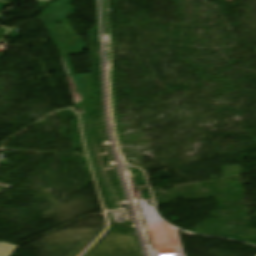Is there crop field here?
<instances>
[{
	"label": "crop field",
	"mask_w": 256,
	"mask_h": 256,
	"mask_svg": "<svg viewBox=\"0 0 256 256\" xmlns=\"http://www.w3.org/2000/svg\"><path fill=\"white\" fill-rule=\"evenodd\" d=\"M63 25L47 27L62 55L84 52L85 46L80 36H75L67 19L63 20ZM64 44L59 46V44Z\"/></svg>",
	"instance_id": "obj_1"
},
{
	"label": "crop field",
	"mask_w": 256,
	"mask_h": 256,
	"mask_svg": "<svg viewBox=\"0 0 256 256\" xmlns=\"http://www.w3.org/2000/svg\"><path fill=\"white\" fill-rule=\"evenodd\" d=\"M70 3L71 0H58L50 4L48 7L51 10L44 13L41 18H38V20H40L42 23L48 26L54 22H58L75 14L72 11L76 8L70 6Z\"/></svg>",
	"instance_id": "obj_2"
},
{
	"label": "crop field",
	"mask_w": 256,
	"mask_h": 256,
	"mask_svg": "<svg viewBox=\"0 0 256 256\" xmlns=\"http://www.w3.org/2000/svg\"><path fill=\"white\" fill-rule=\"evenodd\" d=\"M83 100L92 96L91 74L72 75Z\"/></svg>",
	"instance_id": "obj_3"
},
{
	"label": "crop field",
	"mask_w": 256,
	"mask_h": 256,
	"mask_svg": "<svg viewBox=\"0 0 256 256\" xmlns=\"http://www.w3.org/2000/svg\"><path fill=\"white\" fill-rule=\"evenodd\" d=\"M6 36H8V37L14 39V38H17V37H19V36H21V35H19V34H17V33H15V32H13V31L10 30L9 34L6 35Z\"/></svg>",
	"instance_id": "obj_4"
},
{
	"label": "crop field",
	"mask_w": 256,
	"mask_h": 256,
	"mask_svg": "<svg viewBox=\"0 0 256 256\" xmlns=\"http://www.w3.org/2000/svg\"><path fill=\"white\" fill-rule=\"evenodd\" d=\"M7 32V29H4L2 27H0V40L2 38V36Z\"/></svg>",
	"instance_id": "obj_5"
},
{
	"label": "crop field",
	"mask_w": 256,
	"mask_h": 256,
	"mask_svg": "<svg viewBox=\"0 0 256 256\" xmlns=\"http://www.w3.org/2000/svg\"><path fill=\"white\" fill-rule=\"evenodd\" d=\"M10 4H6V3H2L0 2V10L6 8L7 6H9Z\"/></svg>",
	"instance_id": "obj_6"
},
{
	"label": "crop field",
	"mask_w": 256,
	"mask_h": 256,
	"mask_svg": "<svg viewBox=\"0 0 256 256\" xmlns=\"http://www.w3.org/2000/svg\"><path fill=\"white\" fill-rule=\"evenodd\" d=\"M38 1H45V2H47V1H49V0H38Z\"/></svg>",
	"instance_id": "obj_7"
},
{
	"label": "crop field",
	"mask_w": 256,
	"mask_h": 256,
	"mask_svg": "<svg viewBox=\"0 0 256 256\" xmlns=\"http://www.w3.org/2000/svg\"><path fill=\"white\" fill-rule=\"evenodd\" d=\"M0 59H1V56H0Z\"/></svg>",
	"instance_id": "obj_8"
},
{
	"label": "crop field",
	"mask_w": 256,
	"mask_h": 256,
	"mask_svg": "<svg viewBox=\"0 0 256 256\" xmlns=\"http://www.w3.org/2000/svg\"><path fill=\"white\" fill-rule=\"evenodd\" d=\"M0 256H2V255H0Z\"/></svg>",
	"instance_id": "obj_9"
}]
</instances>
